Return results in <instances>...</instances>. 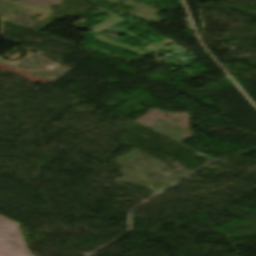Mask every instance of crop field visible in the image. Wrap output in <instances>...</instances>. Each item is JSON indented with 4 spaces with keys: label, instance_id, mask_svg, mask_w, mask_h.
<instances>
[{
    "label": "crop field",
    "instance_id": "crop-field-1",
    "mask_svg": "<svg viewBox=\"0 0 256 256\" xmlns=\"http://www.w3.org/2000/svg\"><path fill=\"white\" fill-rule=\"evenodd\" d=\"M19 224L0 216V256H32L25 248Z\"/></svg>",
    "mask_w": 256,
    "mask_h": 256
}]
</instances>
